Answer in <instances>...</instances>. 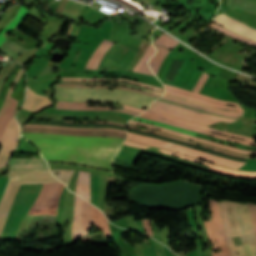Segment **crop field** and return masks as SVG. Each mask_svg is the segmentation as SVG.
<instances>
[{
  "label": "crop field",
  "instance_id": "8a807250",
  "mask_svg": "<svg viewBox=\"0 0 256 256\" xmlns=\"http://www.w3.org/2000/svg\"><path fill=\"white\" fill-rule=\"evenodd\" d=\"M36 145L46 161L84 165L113 171L111 160L123 139L21 133Z\"/></svg>",
  "mask_w": 256,
  "mask_h": 256
},
{
  "label": "crop field",
  "instance_id": "ac0d7876",
  "mask_svg": "<svg viewBox=\"0 0 256 256\" xmlns=\"http://www.w3.org/2000/svg\"><path fill=\"white\" fill-rule=\"evenodd\" d=\"M55 90L54 100L69 102H116L135 108L148 107L156 98L127 90H107L53 86Z\"/></svg>",
  "mask_w": 256,
  "mask_h": 256
},
{
  "label": "crop field",
  "instance_id": "34b2d1b8",
  "mask_svg": "<svg viewBox=\"0 0 256 256\" xmlns=\"http://www.w3.org/2000/svg\"><path fill=\"white\" fill-rule=\"evenodd\" d=\"M20 185L9 184L0 204V232L7 218L14 196ZM44 188L37 197L28 214L56 216L60 195L65 185L61 182L43 184Z\"/></svg>",
  "mask_w": 256,
  "mask_h": 256
},
{
  "label": "crop field",
  "instance_id": "412701ff",
  "mask_svg": "<svg viewBox=\"0 0 256 256\" xmlns=\"http://www.w3.org/2000/svg\"><path fill=\"white\" fill-rule=\"evenodd\" d=\"M226 204L232 235H240L247 256H256V238L248 205L241 206L238 203L229 202H226Z\"/></svg>",
  "mask_w": 256,
  "mask_h": 256
},
{
  "label": "crop field",
  "instance_id": "f4fd0767",
  "mask_svg": "<svg viewBox=\"0 0 256 256\" xmlns=\"http://www.w3.org/2000/svg\"><path fill=\"white\" fill-rule=\"evenodd\" d=\"M128 140L143 143V144H147V145L157 146V147H161V148H165V149H169V150H172V151L177 152V153H181V154H184V155L196 157V158L203 159V160H206V161L218 163V164L225 165V166L235 168V169H238L242 165L245 164V163H242V162H237V161H234V160L213 156V155H210V154L205 153L203 151L191 149V148H188V147H185V146H182V145L169 143V142H166V141L150 138V137H147V136L136 135V134H132V133H129V132H128Z\"/></svg>",
  "mask_w": 256,
  "mask_h": 256
},
{
  "label": "crop field",
  "instance_id": "dd49c442",
  "mask_svg": "<svg viewBox=\"0 0 256 256\" xmlns=\"http://www.w3.org/2000/svg\"><path fill=\"white\" fill-rule=\"evenodd\" d=\"M149 111L163 113L175 118L186 120L192 123L209 126L213 123L222 122H233L234 119L216 117L214 115L206 114L196 110L187 109L184 107L164 103L155 100L154 103L147 109Z\"/></svg>",
  "mask_w": 256,
  "mask_h": 256
},
{
  "label": "crop field",
  "instance_id": "e52e79f7",
  "mask_svg": "<svg viewBox=\"0 0 256 256\" xmlns=\"http://www.w3.org/2000/svg\"><path fill=\"white\" fill-rule=\"evenodd\" d=\"M21 132L36 133H55L79 136H111L117 138H126V131L112 128H69L53 125H24Z\"/></svg>",
  "mask_w": 256,
  "mask_h": 256
},
{
  "label": "crop field",
  "instance_id": "d8731c3e",
  "mask_svg": "<svg viewBox=\"0 0 256 256\" xmlns=\"http://www.w3.org/2000/svg\"><path fill=\"white\" fill-rule=\"evenodd\" d=\"M90 211L91 204L76 195L72 225V238L74 242L77 238L87 234V230L92 228Z\"/></svg>",
  "mask_w": 256,
  "mask_h": 256
},
{
  "label": "crop field",
  "instance_id": "5a996713",
  "mask_svg": "<svg viewBox=\"0 0 256 256\" xmlns=\"http://www.w3.org/2000/svg\"><path fill=\"white\" fill-rule=\"evenodd\" d=\"M18 138L19 125L15 118H13L4 131L3 142L0 149V168L7 166L8 158L16 148Z\"/></svg>",
  "mask_w": 256,
  "mask_h": 256
},
{
  "label": "crop field",
  "instance_id": "3316defc",
  "mask_svg": "<svg viewBox=\"0 0 256 256\" xmlns=\"http://www.w3.org/2000/svg\"><path fill=\"white\" fill-rule=\"evenodd\" d=\"M164 86L166 88L165 92H167V93L183 96V97H186L188 99L197 100L199 102L209 104V105H213V106H217V107H222V108H227V109H231V110L244 112L243 109L239 106L238 103L217 100V99H214V98L209 97V96L193 93V92L183 90V89H180V88H177V87H174V86H171V85H167V84H164ZM225 104L234 105L238 108L229 107V106H226Z\"/></svg>",
  "mask_w": 256,
  "mask_h": 256
},
{
  "label": "crop field",
  "instance_id": "28ad6ade",
  "mask_svg": "<svg viewBox=\"0 0 256 256\" xmlns=\"http://www.w3.org/2000/svg\"><path fill=\"white\" fill-rule=\"evenodd\" d=\"M214 22L245 38L256 42L255 29L227 17L224 13L217 15L214 19Z\"/></svg>",
  "mask_w": 256,
  "mask_h": 256
},
{
  "label": "crop field",
  "instance_id": "d1516ede",
  "mask_svg": "<svg viewBox=\"0 0 256 256\" xmlns=\"http://www.w3.org/2000/svg\"><path fill=\"white\" fill-rule=\"evenodd\" d=\"M159 151L164 152V153H168V154H171V155H175V156L187 159V160H191V161H195V162L202 163V164H205V165H209V166H211L210 171H213V172H217V173H221V174H225V175H230V176L242 177V178H256V172H248V171H239V170H234V169H227V168H224V167H221V166H218V165H214V164H211V163H208V162H204V161H201V160H198V159H195V158L182 156V155L175 154V153H172V152H169V151H165V150H161V149H159Z\"/></svg>",
  "mask_w": 256,
  "mask_h": 256
},
{
  "label": "crop field",
  "instance_id": "22f410ed",
  "mask_svg": "<svg viewBox=\"0 0 256 256\" xmlns=\"http://www.w3.org/2000/svg\"><path fill=\"white\" fill-rule=\"evenodd\" d=\"M129 124L144 126V127H147V128L156 129V130H160V131L176 134V135H179V136H182V137H186V138H189V139H192V140H196V141H201V142H204L206 144L218 146V147H221V148H224V149H227V150H231V151H235V152H241V153L255 154L256 155V152H254V151H247V150H242V149H236V148H233L231 146L214 143V142H211V141H208V140H204V139H201V138H197V137L189 136V135H186V134H182V133H179V132H176V131H173V130H169V129H165V128H160V127H156V126H152V125H148V124H144V123H140V122H136V121H133V120H131L129 122Z\"/></svg>",
  "mask_w": 256,
  "mask_h": 256
},
{
  "label": "crop field",
  "instance_id": "cbeb9de0",
  "mask_svg": "<svg viewBox=\"0 0 256 256\" xmlns=\"http://www.w3.org/2000/svg\"><path fill=\"white\" fill-rule=\"evenodd\" d=\"M52 177L48 170L42 171H11L10 181H36L50 180Z\"/></svg>",
  "mask_w": 256,
  "mask_h": 256
},
{
  "label": "crop field",
  "instance_id": "5142ce71",
  "mask_svg": "<svg viewBox=\"0 0 256 256\" xmlns=\"http://www.w3.org/2000/svg\"><path fill=\"white\" fill-rule=\"evenodd\" d=\"M10 170H42L48 169L43 159H11ZM15 168V169H11Z\"/></svg>",
  "mask_w": 256,
  "mask_h": 256
},
{
  "label": "crop field",
  "instance_id": "d9b57169",
  "mask_svg": "<svg viewBox=\"0 0 256 256\" xmlns=\"http://www.w3.org/2000/svg\"><path fill=\"white\" fill-rule=\"evenodd\" d=\"M51 103L52 102L48 99L47 96L35 95L30 89L27 88L26 101L23 105L24 108H28L33 111H38L43 106H48Z\"/></svg>",
  "mask_w": 256,
  "mask_h": 256
},
{
  "label": "crop field",
  "instance_id": "733c2abd",
  "mask_svg": "<svg viewBox=\"0 0 256 256\" xmlns=\"http://www.w3.org/2000/svg\"><path fill=\"white\" fill-rule=\"evenodd\" d=\"M138 117H142V118H146V119H150V120L164 122V123L176 126V127L186 128L188 130L198 131V132L205 133V134L211 135L213 137L221 138V139H224V140H227V141H231V142H237V143H240V144L256 146V144L253 143V142L240 141V140H236L234 138H228V137H224V136H221V135H215V134H212V133H210L208 131L199 130V129H196V128L184 126V125H181V124H178V123H174V122H171V121H167V120H163V119H159V118H155V117H151V116H147V115H143V114L139 115Z\"/></svg>",
  "mask_w": 256,
  "mask_h": 256
},
{
  "label": "crop field",
  "instance_id": "4a817a6b",
  "mask_svg": "<svg viewBox=\"0 0 256 256\" xmlns=\"http://www.w3.org/2000/svg\"><path fill=\"white\" fill-rule=\"evenodd\" d=\"M76 192L86 200L90 201V173L83 171L79 172Z\"/></svg>",
  "mask_w": 256,
  "mask_h": 256
},
{
  "label": "crop field",
  "instance_id": "bc2a9ffb",
  "mask_svg": "<svg viewBox=\"0 0 256 256\" xmlns=\"http://www.w3.org/2000/svg\"><path fill=\"white\" fill-rule=\"evenodd\" d=\"M29 12L23 7L20 6L17 14L11 20V22L0 32V46L5 42L6 36L3 35L4 32L14 30L27 16Z\"/></svg>",
  "mask_w": 256,
  "mask_h": 256
},
{
  "label": "crop field",
  "instance_id": "214f88e0",
  "mask_svg": "<svg viewBox=\"0 0 256 256\" xmlns=\"http://www.w3.org/2000/svg\"><path fill=\"white\" fill-rule=\"evenodd\" d=\"M144 113L145 114H149V115H153V116H157V117H161V118H165V119H169L171 121L182 123V124H185V125H188V126H192V127H196V128H200V129H204V130L220 133L222 135L238 137V138H242V139H246V140L255 142L254 139H252V138H248V137L241 136V135H236V134H231V133H227V132L213 130L211 128L199 126V125H196V124H192V123H189V122H186V121H182V120L175 119V118H172V117L164 116V115H161V114H157V113H153V112H148V111H145Z\"/></svg>",
  "mask_w": 256,
  "mask_h": 256
},
{
  "label": "crop field",
  "instance_id": "92a150f3",
  "mask_svg": "<svg viewBox=\"0 0 256 256\" xmlns=\"http://www.w3.org/2000/svg\"><path fill=\"white\" fill-rule=\"evenodd\" d=\"M114 42L105 40L101 43V45L96 49V51L93 53L92 57L90 58L88 65L86 68H92L97 69L98 64L105 54V52L108 50L110 46H112ZM110 49V48H109Z\"/></svg>",
  "mask_w": 256,
  "mask_h": 256
},
{
  "label": "crop field",
  "instance_id": "dafd665d",
  "mask_svg": "<svg viewBox=\"0 0 256 256\" xmlns=\"http://www.w3.org/2000/svg\"><path fill=\"white\" fill-rule=\"evenodd\" d=\"M92 223L94 227H97L98 229L102 227L106 237H112L106 218L103 216L102 212L99 209L95 208L93 205H92Z\"/></svg>",
  "mask_w": 256,
  "mask_h": 256
},
{
  "label": "crop field",
  "instance_id": "00972430",
  "mask_svg": "<svg viewBox=\"0 0 256 256\" xmlns=\"http://www.w3.org/2000/svg\"><path fill=\"white\" fill-rule=\"evenodd\" d=\"M220 212H221V217H222V221H223L226 237H227V240H228V246L230 248L231 254H232V256H237L235 245L233 243V240H232V237H231V233H230L228 216H227V211H226V207H225L224 201L220 202Z\"/></svg>",
  "mask_w": 256,
  "mask_h": 256
},
{
  "label": "crop field",
  "instance_id": "a9b5d70f",
  "mask_svg": "<svg viewBox=\"0 0 256 256\" xmlns=\"http://www.w3.org/2000/svg\"><path fill=\"white\" fill-rule=\"evenodd\" d=\"M154 53H155V48L152 46V44H150L145 54L140 59V61L138 62L136 67L133 69V71L153 75L147 66V61Z\"/></svg>",
  "mask_w": 256,
  "mask_h": 256
},
{
  "label": "crop field",
  "instance_id": "4177f3b9",
  "mask_svg": "<svg viewBox=\"0 0 256 256\" xmlns=\"http://www.w3.org/2000/svg\"><path fill=\"white\" fill-rule=\"evenodd\" d=\"M17 101L11 98V103L6 112L0 117V144L2 142L3 131L13 117Z\"/></svg>",
  "mask_w": 256,
  "mask_h": 256
},
{
  "label": "crop field",
  "instance_id": "730fd06b",
  "mask_svg": "<svg viewBox=\"0 0 256 256\" xmlns=\"http://www.w3.org/2000/svg\"><path fill=\"white\" fill-rule=\"evenodd\" d=\"M155 47L158 48V52L155 54V56L151 59L150 61V68L155 72L157 75L158 70L165 59V57L168 55L170 52L169 50L165 49L164 47H158L155 45ZM153 72V73H154Z\"/></svg>",
  "mask_w": 256,
  "mask_h": 256
},
{
  "label": "crop field",
  "instance_id": "eef30255",
  "mask_svg": "<svg viewBox=\"0 0 256 256\" xmlns=\"http://www.w3.org/2000/svg\"><path fill=\"white\" fill-rule=\"evenodd\" d=\"M26 49L18 46L17 44L11 42V41H7L6 44L4 46H2V48L0 49V51L4 54H6L7 56L13 58V59H17V57Z\"/></svg>",
  "mask_w": 256,
  "mask_h": 256
},
{
  "label": "crop field",
  "instance_id": "ae1a2a85",
  "mask_svg": "<svg viewBox=\"0 0 256 256\" xmlns=\"http://www.w3.org/2000/svg\"><path fill=\"white\" fill-rule=\"evenodd\" d=\"M84 6L85 4L69 0L62 14L76 20L79 12L84 8Z\"/></svg>",
  "mask_w": 256,
  "mask_h": 256
},
{
  "label": "crop field",
  "instance_id": "d3111659",
  "mask_svg": "<svg viewBox=\"0 0 256 256\" xmlns=\"http://www.w3.org/2000/svg\"><path fill=\"white\" fill-rule=\"evenodd\" d=\"M59 84L104 85L106 83H101V82H80V81H61ZM111 84L123 85V86H127V87H132V88L144 90V91H147V92H150V93H153V94H157V95H160V96L162 95L161 92L150 90V89L139 87V86H135V85L125 84V83H111Z\"/></svg>",
  "mask_w": 256,
  "mask_h": 256
},
{
  "label": "crop field",
  "instance_id": "750c4746",
  "mask_svg": "<svg viewBox=\"0 0 256 256\" xmlns=\"http://www.w3.org/2000/svg\"><path fill=\"white\" fill-rule=\"evenodd\" d=\"M164 96H165V97L174 98V99H178V100H181V101H184V102H187V103H191V104H194V105H197V106H200V107H204V108L210 109V110H212V111L243 116V113H241V112L229 111V110H222V109L215 108V107H212V106H208V105H205V104L196 102V101H192V100H187V99L179 98V97H176V96H173V95H169V94H166V93L164 94Z\"/></svg>",
  "mask_w": 256,
  "mask_h": 256
},
{
  "label": "crop field",
  "instance_id": "bd1437ed",
  "mask_svg": "<svg viewBox=\"0 0 256 256\" xmlns=\"http://www.w3.org/2000/svg\"><path fill=\"white\" fill-rule=\"evenodd\" d=\"M228 6L256 13V3L244 0H228Z\"/></svg>",
  "mask_w": 256,
  "mask_h": 256
},
{
  "label": "crop field",
  "instance_id": "1d83c4d3",
  "mask_svg": "<svg viewBox=\"0 0 256 256\" xmlns=\"http://www.w3.org/2000/svg\"><path fill=\"white\" fill-rule=\"evenodd\" d=\"M62 80L126 81V82L134 83V84H137V85H140V86H144V87H147V88H152V89H155V90H158V91H162V92H163V89H162V88H158V87L146 85V84H144V83H138V82L129 81V80H126V79H108V80H105V79L62 78Z\"/></svg>",
  "mask_w": 256,
  "mask_h": 256
},
{
  "label": "crop field",
  "instance_id": "120bbe31",
  "mask_svg": "<svg viewBox=\"0 0 256 256\" xmlns=\"http://www.w3.org/2000/svg\"><path fill=\"white\" fill-rule=\"evenodd\" d=\"M51 173L68 186L73 170H51Z\"/></svg>",
  "mask_w": 256,
  "mask_h": 256
},
{
  "label": "crop field",
  "instance_id": "d32e631a",
  "mask_svg": "<svg viewBox=\"0 0 256 256\" xmlns=\"http://www.w3.org/2000/svg\"><path fill=\"white\" fill-rule=\"evenodd\" d=\"M205 226H206L207 233H208V236H209V238H210V241H211V243L213 244V250H212L211 254H212V256H220L219 251H218V253H213V251H214L215 249L218 250V248H217V245H216V240H215V238H214V236H213V231H212V227H211V222H205Z\"/></svg>",
  "mask_w": 256,
  "mask_h": 256
},
{
  "label": "crop field",
  "instance_id": "5866460e",
  "mask_svg": "<svg viewBox=\"0 0 256 256\" xmlns=\"http://www.w3.org/2000/svg\"><path fill=\"white\" fill-rule=\"evenodd\" d=\"M210 27H213V28H215V29H217V30H219V31H221V32H223V33L229 35V36H232V37H234V38H236V39L242 41V42L249 43V44H252V45H255V46H256V43L251 42V41L246 40V39H243V38H241V37L235 35L234 33L230 32V31H228V30H226V29H224V28H222V27H220V26H218V25H216V24H214V23H212V24L210 25Z\"/></svg>",
  "mask_w": 256,
  "mask_h": 256
},
{
  "label": "crop field",
  "instance_id": "028f5c9d",
  "mask_svg": "<svg viewBox=\"0 0 256 256\" xmlns=\"http://www.w3.org/2000/svg\"><path fill=\"white\" fill-rule=\"evenodd\" d=\"M135 120L145 122V123L154 124V125H158V126L165 127V128H170V129L177 130V131H180V132H183V133H186V134H190V135H194V136L196 134L194 132L182 130V129H179V128L171 127V126H168V125H164V124H161V123H157V122H153V121H149V120H145V119L137 118Z\"/></svg>",
  "mask_w": 256,
  "mask_h": 256
},
{
  "label": "crop field",
  "instance_id": "e1f06a70",
  "mask_svg": "<svg viewBox=\"0 0 256 256\" xmlns=\"http://www.w3.org/2000/svg\"><path fill=\"white\" fill-rule=\"evenodd\" d=\"M147 47H148V44H145V43L142 42L139 53L134 58V60L131 62V64L129 65L127 70L132 71V69L134 68V66L136 65V63L138 62V60L140 59V57L142 56V54L144 53V51L146 50Z\"/></svg>",
  "mask_w": 256,
  "mask_h": 256
},
{
  "label": "crop field",
  "instance_id": "0bd39190",
  "mask_svg": "<svg viewBox=\"0 0 256 256\" xmlns=\"http://www.w3.org/2000/svg\"><path fill=\"white\" fill-rule=\"evenodd\" d=\"M20 70H21V69H20ZM21 73H22V70H21L20 73L18 74L17 80L15 81L13 87L10 88V90H9L7 96H6L5 103H4L3 107H2V109L0 110V116L5 112L6 108L8 107V105H9V103H10V94H11L12 90L14 89V87H15V85H16V83H17V81H18V79H19V77H20V75H21Z\"/></svg>",
  "mask_w": 256,
  "mask_h": 256
},
{
  "label": "crop field",
  "instance_id": "b80d0937",
  "mask_svg": "<svg viewBox=\"0 0 256 256\" xmlns=\"http://www.w3.org/2000/svg\"><path fill=\"white\" fill-rule=\"evenodd\" d=\"M58 85V84H56ZM59 86H73V87H90V88H107V87H115V86H79V85H59ZM121 88V87H119ZM123 89H127V90H131V91H135V92H140V93H144V94H148V95H152V96H156L147 92H143V91H139V90H135V89H129V88H123ZM156 97H160V96H156Z\"/></svg>",
  "mask_w": 256,
  "mask_h": 256
},
{
  "label": "crop field",
  "instance_id": "c035e120",
  "mask_svg": "<svg viewBox=\"0 0 256 256\" xmlns=\"http://www.w3.org/2000/svg\"><path fill=\"white\" fill-rule=\"evenodd\" d=\"M208 77V74L204 73L201 75L200 79L198 80V82L196 83L195 87L193 88V91L199 93L202 85L204 84V82L206 81Z\"/></svg>",
  "mask_w": 256,
  "mask_h": 256
},
{
  "label": "crop field",
  "instance_id": "c21b1889",
  "mask_svg": "<svg viewBox=\"0 0 256 256\" xmlns=\"http://www.w3.org/2000/svg\"><path fill=\"white\" fill-rule=\"evenodd\" d=\"M150 221H151V225H152V229H153V233H154V238L161 241V239H160V228L158 226H156L155 219H152Z\"/></svg>",
  "mask_w": 256,
  "mask_h": 256
},
{
  "label": "crop field",
  "instance_id": "03da06ac",
  "mask_svg": "<svg viewBox=\"0 0 256 256\" xmlns=\"http://www.w3.org/2000/svg\"><path fill=\"white\" fill-rule=\"evenodd\" d=\"M16 63L12 61L11 65L9 66V68L7 69L6 73L3 75V77L0 79V89L1 86L3 84V82L6 80V78L9 76V74L12 72V70L14 69Z\"/></svg>",
  "mask_w": 256,
  "mask_h": 256
},
{
  "label": "crop field",
  "instance_id": "b54c1fbb",
  "mask_svg": "<svg viewBox=\"0 0 256 256\" xmlns=\"http://www.w3.org/2000/svg\"><path fill=\"white\" fill-rule=\"evenodd\" d=\"M249 204L252 219H253V226H254V232L256 234V205L255 204Z\"/></svg>",
  "mask_w": 256,
  "mask_h": 256
},
{
  "label": "crop field",
  "instance_id": "5d738f31",
  "mask_svg": "<svg viewBox=\"0 0 256 256\" xmlns=\"http://www.w3.org/2000/svg\"><path fill=\"white\" fill-rule=\"evenodd\" d=\"M143 225H144V228H145L146 233H148V234H150L151 236H153V234H152V229H151V225H150L149 220H143ZM148 234H147V235H148ZM150 235H149V236H150Z\"/></svg>",
  "mask_w": 256,
  "mask_h": 256
},
{
  "label": "crop field",
  "instance_id": "d23c7cc5",
  "mask_svg": "<svg viewBox=\"0 0 256 256\" xmlns=\"http://www.w3.org/2000/svg\"><path fill=\"white\" fill-rule=\"evenodd\" d=\"M129 127V126H128ZM133 128V127H132ZM136 129V128H135ZM138 130V129H137ZM142 131H147V130H142ZM147 132H151V133H156V132H152V131H147ZM158 134H161V133H158ZM161 135H165V134H161ZM165 136H167V135H165ZM170 137V136H169ZM173 138V137H172ZM174 139H176V140H180V139H177V138H174ZM180 141H184V140H180ZM187 141V140H186ZM186 141H184V142H186ZM189 143V142H188ZM193 144V143H192ZM195 145H197V144H195ZM199 146H201V145H199ZM203 147H206V146H203ZM207 148H210V147H207ZM210 149H213V148H210ZM214 150H217V149H214ZM218 151H221V150H218ZM221 152H223V153H226V154H230V155H234V156H238V155H235V154H231V153H228V152H224V151H221ZM238 157H242V156H238Z\"/></svg>",
  "mask_w": 256,
  "mask_h": 256
},
{
  "label": "crop field",
  "instance_id": "425ffa30",
  "mask_svg": "<svg viewBox=\"0 0 256 256\" xmlns=\"http://www.w3.org/2000/svg\"><path fill=\"white\" fill-rule=\"evenodd\" d=\"M162 99L171 100V99H167V98H164V97H162ZM171 101H175V100H171ZM175 102H180V101H175ZM180 103L190 105V104H187V103H184V102H180ZM190 106H193V107H196V108H199V109H203V108H200V107H197V106H194V105H190ZM203 110L209 111L207 109H203ZM209 112H212V111H209ZM212 113H216V112H212ZM217 114H221V113H217ZM223 115H227V114H223ZM227 116H232V117L238 118V116H233V115H227Z\"/></svg>",
  "mask_w": 256,
  "mask_h": 256
},
{
  "label": "crop field",
  "instance_id": "25e5ab78",
  "mask_svg": "<svg viewBox=\"0 0 256 256\" xmlns=\"http://www.w3.org/2000/svg\"><path fill=\"white\" fill-rule=\"evenodd\" d=\"M126 145H130V146H134V147H138V148H143V149H147L149 148V146H144V145H140V144H136V143H132V142H129V141H125Z\"/></svg>",
  "mask_w": 256,
  "mask_h": 256
},
{
  "label": "crop field",
  "instance_id": "73cf0c24",
  "mask_svg": "<svg viewBox=\"0 0 256 256\" xmlns=\"http://www.w3.org/2000/svg\"><path fill=\"white\" fill-rule=\"evenodd\" d=\"M236 248H237V252H238L239 256H245L244 251H243V246H239Z\"/></svg>",
  "mask_w": 256,
  "mask_h": 256
},
{
  "label": "crop field",
  "instance_id": "89e229c0",
  "mask_svg": "<svg viewBox=\"0 0 256 256\" xmlns=\"http://www.w3.org/2000/svg\"><path fill=\"white\" fill-rule=\"evenodd\" d=\"M54 181H58V180H54ZM54 181L16 182V183H39V182H54ZM9 183H11V182H9Z\"/></svg>",
  "mask_w": 256,
  "mask_h": 256
},
{
  "label": "crop field",
  "instance_id": "1f2cbd36",
  "mask_svg": "<svg viewBox=\"0 0 256 256\" xmlns=\"http://www.w3.org/2000/svg\"><path fill=\"white\" fill-rule=\"evenodd\" d=\"M66 122H70V121H66ZM72 123H79V122H72ZM81 123H110V122H81ZM111 124H114V123H111ZM116 125H119V124H116Z\"/></svg>",
  "mask_w": 256,
  "mask_h": 256
},
{
  "label": "crop field",
  "instance_id": "dbb93151",
  "mask_svg": "<svg viewBox=\"0 0 256 256\" xmlns=\"http://www.w3.org/2000/svg\"><path fill=\"white\" fill-rule=\"evenodd\" d=\"M124 108L130 109V110H133V111H136V112H139V113L142 112V110H138V109H135V108H132V107H128V106H125V105H124Z\"/></svg>",
  "mask_w": 256,
  "mask_h": 256
}]
</instances>
